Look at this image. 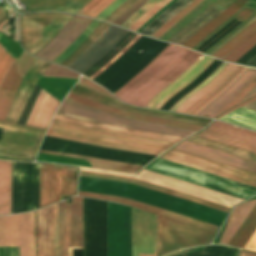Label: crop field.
Returning <instances> with one entry per match:
<instances>
[{
    "instance_id": "obj_34",
    "label": "crop field",
    "mask_w": 256,
    "mask_h": 256,
    "mask_svg": "<svg viewBox=\"0 0 256 256\" xmlns=\"http://www.w3.org/2000/svg\"><path fill=\"white\" fill-rule=\"evenodd\" d=\"M256 44V33L246 39L232 52L226 55L222 60L235 63L246 51L252 48Z\"/></svg>"
},
{
    "instance_id": "obj_1",
    "label": "crop field",
    "mask_w": 256,
    "mask_h": 256,
    "mask_svg": "<svg viewBox=\"0 0 256 256\" xmlns=\"http://www.w3.org/2000/svg\"><path fill=\"white\" fill-rule=\"evenodd\" d=\"M80 175L132 184L227 212H229L232 205L243 200L146 170L137 176H132L81 168ZM78 195L132 205L157 214L158 254L160 255L189 246L208 244L218 229V226L125 198L82 191H79Z\"/></svg>"
},
{
    "instance_id": "obj_2",
    "label": "crop field",
    "mask_w": 256,
    "mask_h": 256,
    "mask_svg": "<svg viewBox=\"0 0 256 256\" xmlns=\"http://www.w3.org/2000/svg\"><path fill=\"white\" fill-rule=\"evenodd\" d=\"M49 62L40 59L25 75L11 105L0 136V157L34 161L36 152L46 130L17 124L25 105Z\"/></svg>"
},
{
    "instance_id": "obj_25",
    "label": "crop field",
    "mask_w": 256,
    "mask_h": 256,
    "mask_svg": "<svg viewBox=\"0 0 256 256\" xmlns=\"http://www.w3.org/2000/svg\"><path fill=\"white\" fill-rule=\"evenodd\" d=\"M21 78L18 77L15 69V65L11 68L2 89L5 90H13L16 91L20 82ZM15 92L12 91H0V120L4 121L6 117V113L11 105L12 98Z\"/></svg>"
},
{
    "instance_id": "obj_55",
    "label": "crop field",
    "mask_w": 256,
    "mask_h": 256,
    "mask_svg": "<svg viewBox=\"0 0 256 256\" xmlns=\"http://www.w3.org/2000/svg\"><path fill=\"white\" fill-rule=\"evenodd\" d=\"M0 37H1V34H0Z\"/></svg>"
},
{
    "instance_id": "obj_29",
    "label": "crop field",
    "mask_w": 256,
    "mask_h": 256,
    "mask_svg": "<svg viewBox=\"0 0 256 256\" xmlns=\"http://www.w3.org/2000/svg\"><path fill=\"white\" fill-rule=\"evenodd\" d=\"M39 152H41V151H39ZM42 153H47V152H42ZM48 154H53V153H48ZM54 155H61V156L85 159L91 163L92 167L102 168V169H111V170H119V171H125V172H130V173H136L138 170H140L142 168L140 166H134V165L112 162V161L97 160V159H90V158H83V157L62 155V154H54Z\"/></svg>"
},
{
    "instance_id": "obj_46",
    "label": "crop field",
    "mask_w": 256,
    "mask_h": 256,
    "mask_svg": "<svg viewBox=\"0 0 256 256\" xmlns=\"http://www.w3.org/2000/svg\"><path fill=\"white\" fill-rule=\"evenodd\" d=\"M256 19V16L253 17L251 20H249L240 30H238L234 35H232L229 39H227L225 42H223L221 45H219L214 51H212L209 56H211L213 53H215L219 48H221L224 44H226L230 39H232L234 36H236L238 33H240L247 25H249L251 22H253Z\"/></svg>"
},
{
    "instance_id": "obj_9",
    "label": "crop field",
    "mask_w": 256,
    "mask_h": 256,
    "mask_svg": "<svg viewBox=\"0 0 256 256\" xmlns=\"http://www.w3.org/2000/svg\"><path fill=\"white\" fill-rule=\"evenodd\" d=\"M76 167L41 164L40 208L75 195Z\"/></svg>"
},
{
    "instance_id": "obj_26",
    "label": "crop field",
    "mask_w": 256,
    "mask_h": 256,
    "mask_svg": "<svg viewBox=\"0 0 256 256\" xmlns=\"http://www.w3.org/2000/svg\"><path fill=\"white\" fill-rule=\"evenodd\" d=\"M11 162L0 161V215L10 214Z\"/></svg>"
},
{
    "instance_id": "obj_12",
    "label": "crop field",
    "mask_w": 256,
    "mask_h": 256,
    "mask_svg": "<svg viewBox=\"0 0 256 256\" xmlns=\"http://www.w3.org/2000/svg\"><path fill=\"white\" fill-rule=\"evenodd\" d=\"M197 135L256 153V132L227 123L216 121Z\"/></svg>"
},
{
    "instance_id": "obj_38",
    "label": "crop field",
    "mask_w": 256,
    "mask_h": 256,
    "mask_svg": "<svg viewBox=\"0 0 256 256\" xmlns=\"http://www.w3.org/2000/svg\"><path fill=\"white\" fill-rule=\"evenodd\" d=\"M160 0H149L143 7H141L136 13H134L130 18H128L121 26L128 28L133 24L139 17H141L145 12L156 5Z\"/></svg>"
},
{
    "instance_id": "obj_57",
    "label": "crop field",
    "mask_w": 256,
    "mask_h": 256,
    "mask_svg": "<svg viewBox=\"0 0 256 256\" xmlns=\"http://www.w3.org/2000/svg\"><path fill=\"white\" fill-rule=\"evenodd\" d=\"M64 154V153H63Z\"/></svg>"
},
{
    "instance_id": "obj_14",
    "label": "crop field",
    "mask_w": 256,
    "mask_h": 256,
    "mask_svg": "<svg viewBox=\"0 0 256 256\" xmlns=\"http://www.w3.org/2000/svg\"><path fill=\"white\" fill-rule=\"evenodd\" d=\"M92 21L75 15L64 29L35 56L52 61L62 53Z\"/></svg>"
},
{
    "instance_id": "obj_33",
    "label": "crop field",
    "mask_w": 256,
    "mask_h": 256,
    "mask_svg": "<svg viewBox=\"0 0 256 256\" xmlns=\"http://www.w3.org/2000/svg\"><path fill=\"white\" fill-rule=\"evenodd\" d=\"M100 22L93 20L88 27L79 35V37L72 43L60 56L53 62L59 64L66 56H68L81 42H83L92 31L98 26Z\"/></svg>"
},
{
    "instance_id": "obj_17",
    "label": "crop field",
    "mask_w": 256,
    "mask_h": 256,
    "mask_svg": "<svg viewBox=\"0 0 256 256\" xmlns=\"http://www.w3.org/2000/svg\"><path fill=\"white\" fill-rule=\"evenodd\" d=\"M175 149L256 173V163L254 162L202 147L193 143L184 141L176 146Z\"/></svg>"
},
{
    "instance_id": "obj_49",
    "label": "crop field",
    "mask_w": 256,
    "mask_h": 256,
    "mask_svg": "<svg viewBox=\"0 0 256 256\" xmlns=\"http://www.w3.org/2000/svg\"><path fill=\"white\" fill-rule=\"evenodd\" d=\"M254 99H256V97H254V98H252V99H250V100H248V101H246V102H244V103H242V104L236 106L235 108H233V109H231V110H229V111H227V112L222 113V114L219 115L216 119H218V118L224 116L225 114H227V113H229V112H231V111H233V110H235V109L241 107L242 105H244V104H246V103H248V102H250V101H252V100H254Z\"/></svg>"
},
{
    "instance_id": "obj_6",
    "label": "crop field",
    "mask_w": 256,
    "mask_h": 256,
    "mask_svg": "<svg viewBox=\"0 0 256 256\" xmlns=\"http://www.w3.org/2000/svg\"><path fill=\"white\" fill-rule=\"evenodd\" d=\"M0 246H35L34 212L0 217ZM0 256H19V247H0ZM20 256H35V247H20Z\"/></svg>"
},
{
    "instance_id": "obj_36",
    "label": "crop field",
    "mask_w": 256,
    "mask_h": 256,
    "mask_svg": "<svg viewBox=\"0 0 256 256\" xmlns=\"http://www.w3.org/2000/svg\"><path fill=\"white\" fill-rule=\"evenodd\" d=\"M14 57L4 48L0 45V81L4 75V73L7 71V69L10 67V65L12 64V62L14 61ZM16 60V59H15ZM15 62V61H14ZM13 62V64H14ZM12 64V65H13ZM11 65V67H12ZM10 67V68H11ZM10 68L8 69V71L5 73L1 83H0V88L3 84V81L6 77V75L8 74Z\"/></svg>"
},
{
    "instance_id": "obj_16",
    "label": "crop field",
    "mask_w": 256,
    "mask_h": 256,
    "mask_svg": "<svg viewBox=\"0 0 256 256\" xmlns=\"http://www.w3.org/2000/svg\"><path fill=\"white\" fill-rule=\"evenodd\" d=\"M256 78V70L248 68L227 90L197 115L213 118Z\"/></svg>"
},
{
    "instance_id": "obj_22",
    "label": "crop field",
    "mask_w": 256,
    "mask_h": 256,
    "mask_svg": "<svg viewBox=\"0 0 256 256\" xmlns=\"http://www.w3.org/2000/svg\"><path fill=\"white\" fill-rule=\"evenodd\" d=\"M31 12L59 10L77 13L90 0H20Z\"/></svg>"
},
{
    "instance_id": "obj_37",
    "label": "crop field",
    "mask_w": 256,
    "mask_h": 256,
    "mask_svg": "<svg viewBox=\"0 0 256 256\" xmlns=\"http://www.w3.org/2000/svg\"><path fill=\"white\" fill-rule=\"evenodd\" d=\"M171 0H162L155 7L145 13L140 19H138L129 29L134 31L138 30L144 23H146L158 10H160L163 6H165Z\"/></svg>"
},
{
    "instance_id": "obj_18",
    "label": "crop field",
    "mask_w": 256,
    "mask_h": 256,
    "mask_svg": "<svg viewBox=\"0 0 256 256\" xmlns=\"http://www.w3.org/2000/svg\"><path fill=\"white\" fill-rule=\"evenodd\" d=\"M213 60V58H209L206 56L193 70L188 69L176 81H174L163 91L157 94L146 107L151 109H159L175 93H177L187 84L192 82L196 77H198Z\"/></svg>"
},
{
    "instance_id": "obj_48",
    "label": "crop field",
    "mask_w": 256,
    "mask_h": 256,
    "mask_svg": "<svg viewBox=\"0 0 256 256\" xmlns=\"http://www.w3.org/2000/svg\"><path fill=\"white\" fill-rule=\"evenodd\" d=\"M253 12V10H251V9H249V8H246L242 13H240L238 16H237V18H239V19H241V20H245L251 13ZM218 37V36H217ZM214 40V39H213ZM212 40V41H213ZM210 43V42H209ZM208 43V44H209ZM207 44V45H208ZM204 48V47H203ZM202 48V49H203Z\"/></svg>"
},
{
    "instance_id": "obj_42",
    "label": "crop field",
    "mask_w": 256,
    "mask_h": 256,
    "mask_svg": "<svg viewBox=\"0 0 256 256\" xmlns=\"http://www.w3.org/2000/svg\"><path fill=\"white\" fill-rule=\"evenodd\" d=\"M140 35H136L125 47H123L110 61H108L102 68H100L94 75H92L89 79L95 78L99 73H101L107 66H109L116 58H118L126 49H128L138 38Z\"/></svg>"
},
{
    "instance_id": "obj_43",
    "label": "crop field",
    "mask_w": 256,
    "mask_h": 256,
    "mask_svg": "<svg viewBox=\"0 0 256 256\" xmlns=\"http://www.w3.org/2000/svg\"><path fill=\"white\" fill-rule=\"evenodd\" d=\"M137 0H127L125 1L117 10H115L109 17L105 19L112 23L121 13H123L128 7H130Z\"/></svg>"
},
{
    "instance_id": "obj_10",
    "label": "crop field",
    "mask_w": 256,
    "mask_h": 256,
    "mask_svg": "<svg viewBox=\"0 0 256 256\" xmlns=\"http://www.w3.org/2000/svg\"><path fill=\"white\" fill-rule=\"evenodd\" d=\"M246 69L247 67L229 64L204 88L186 100L175 112L196 115L229 87Z\"/></svg>"
},
{
    "instance_id": "obj_30",
    "label": "crop field",
    "mask_w": 256,
    "mask_h": 256,
    "mask_svg": "<svg viewBox=\"0 0 256 256\" xmlns=\"http://www.w3.org/2000/svg\"><path fill=\"white\" fill-rule=\"evenodd\" d=\"M109 26V24L101 22L99 26L93 31V33L81 43L67 58H65L60 65L67 67L74 60H76L80 54L94 41L96 40L104 30Z\"/></svg>"
},
{
    "instance_id": "obj_3",
    "label": "crop field",
    "mask_w": 256,
    "mask_h": 256,
    "mask_svg": "<svg viewBox=\"0 0 256 256\" xmlns=\"http://www.w3.org/2000/svg\"><path fill=\"white\" fill-rule=\"evenodd\" d=\"M200 56L197 52L170 44L151 65L114 95L131 105L145 107ZM140 102L144 105L139 106Z\"/></svg>"
},
{
    "instance_id": "obj_20",
    "label": "crop field",
    "mask_w": 256,
    "mask_h": 256,
    "mask_svg": "<svg viewBox=\"0 0 256 256\" xmlns=\"http://www.w3.org/2000/svg\"><path fill=\"white\" fill-rule=\"evenodd\" d=\"M60 101L42 89L25 125L46 129Z\"/></svg>"
},
{
    "instance_id": "obj_44",
    "label": "crop field",
    "mask_w": 256,
    "mask_h": 256,
    "mask_svg": "<svg viewBox=\"0 0 256 256\" xmlns=\"http://www.w3.org/2000/svg\"><path fill=\"white\" fill-rule=\"evenodd\" d=\"M125 0H116L109 7H107L97 18L104 20L109 16L115 9H117Z\"/></svg>"
},
{
    "instance_id": "obj_39",
    "label": "crop field",
    "mask_w": 256,
    "mask_h": 256,
    "mask_svg": "<svg viewBox=\"0 0 256 256\" xmlns=\"http://www.w3.org/2000/svg\"><path fill=\"white\" fill-rule=\"evenodd\" d=\"M147 1L148 0H139V1H137L125 13H123L117 20H115L113 23L120 25L128 17H130L134 12H136L141 6H143Z\"/></svg>"
},
{
    "instance_id": "obj_11",
    "label": "crop field",
    "mask_w": 256,
    "mask_h": 256,
    "mask_svg": "<svg viewBox=\"0 0 256 256\" xmlns=\"http://www.w3.org/2000/svg\"><path fill=\"white\" fill-rule=\"evenodd\" d=\"M160 158L177 162L186 166H190L256 187V174L254 173L240 170L182 151L172 149Z\"/></svg>"
},
{
    "instance_id": "obj_52",
    "label": "crop field",
    "mask_w": 256,
    "mask_h": 256,
    "mask_svg": "<svg viewBox=\"0 0 256 256\" xmlns=\"http://www.w3.org/2000/svg\"><path fill=\"white\" fill-rule=\"evenodd\" d=\"M240 256H256V253L247 252V251L242 250Z\"/></svg>"
},
{
    "instance_id": "obj_21",
    "label": "crop field",
    "mask_w": 256,
    "mask_h": 256,
    "mask_svg": "<svg viewBox=\"0 0 256 256\" xmlns=\"http://www.w3.org/2000/svg\"><path fill=\"white\" fill-rule=\"evenodd\" d=\"M225 8L213 3L206 10H204L195 19L184 26L176 35H174L169 41L182 45L191 36L213 20L216 16L222 13Z\"/></svg>"
},
{
    "instance_id": "obj_23",
    "label": "crop field",
    "mask_w": 256,
    "mask_h": 256,
    "mask_svg": "<svg viewBox=\"0 0 256 256\" xmlns=\"http://www.w3.org/2000/svg\"><path fill=\"white\" fill-rule=\"evenodd\" d=\"M248 0H236L231 6H229L222 14L211 21L207 26L200 30L197 34L191 37L183 45L192 49L202 39L208 36L215 28L225 22L230 16H232L238 9H240Z\"/></svg>"
},
{
    "instance_id": "obj_4",
    "label": "crop field",
    "mask_w": 256,
    "mask_h": 256,
    "mask_svg": "<svg viewBox=\"0 0 256 256\" xmlns=\"http://www.w3.org/2000/svg\"><path fill=\"white\" fill-rule=\"evenodd\" d=\"M56 114L65 116V117L82 120V121L133 128V129H137V130H141V131L166 134V135L182 137V138H185V137L191 135L192 133H194V131H190V130H186V129L154 125V124L144 123V122L116 116L113 114L98 111L91 107H87V106H83V105H79V104L70 102L66 99L64 100V102L62 103V105L60 106V108L58 109ZM57 115L54 116V118H53L54 121H58V122H62V123L70 124V125L106 130V131H111V132H115V133H119V134H125V135L137 136V137L171 141V142H175V143L182 140V138H176V137L154 134V133L141 132V131L127 129V128H121V127H114V126H108V125H102V124L82 122V121L69 119V118H65V117H61V116H57Z\"/></svg>"
},
{
    "instance_id": "obj_24",
    "label": "crop field",
    "mask_w": 256,
    "mask_h": 256,
    "mask_svg": "<svg viewBox=\"0 0 256 256\" xmlns=\"http://www.w3.org/2000/svg\"><path fill=\"white\" fill-rule=\"evenodd\" d=\"M255 205L256 200L243 202L235 206L219 244L227 245Z\"/></svg>"
},
{
    "instance_id": "obj_50",
    "label": "crop field",
    "mask_w": 256,
    "mask_h": 256,
    "mask_svg": "<svg viewBox=\"0 0 256 256\" xmlns=\"http://www.w3.org/2000/svg\"><path fill=\"white\" fill-rule=\"evenodd\" d=\"M255 95H256V87L254 89H252L239 103H241V102H243V101H245V100H247V99H249V98H251Z\"/></svg>"
},
{
    "instance_id": "obj_47",
    "label": "crop field",
    "mask_w": 256,
    "mask_h": 256,
    "mask_svg": "<svg viewBox=\"0 0 256 256\" xmlns=\"http://www.w3.org/2000/svg\"><path fill=\"white\" fill-rule=\"evenodd\" d=\"M244 248L256 250V232L253 234V236L250 238Z\"/></svg>"
},
{
    "instance_id": "obj_32",
    "label": "crop field",
    "mask_w": 256,
    "mask_h": 256,
    "mask_svg": "<svg viewBox=\"0 0 256 256\" xmlns=\"http://www.w3.org/2000/svg\"><path fill=\"white\" fill-rule=\"evenodd\" d=\"M202 1L203 0L191 1L187 7H185L179 13H177L174 17H172L167 23H165L161 28H159L152 36L159 38L161 35H163L167 30H169L172 26H174L179 20H181L184 16H186L191 10H193Z\"/></svg>"
},
{
    "instance_id": "obj_31",
    "label": "crop field",
    "mask_w": 256,
    "mask_h": 256,
    "mask_svg": "<svg viewBox=\"0 0 256 256\" xmlns=\"http://www.w3.org/2000/svg\"><path fill=\"white\" fill-rule=\"evenodd\" d=\"M256 32V20L246 27L240 34L230 40L226 45H224L220 50H218L213 56L222 58L228 54L233 48L243 42L246 38Z\"/></svg>"
},
{
    "instance_id": "obj_54",
    "label": "crop field",
    "mask_w": 256,
    "mask_h": 256,
    "mask_svg": "<svg viewBox=\"0 0 256 256\" xmlns=\"http://www.w3.org/2000/svg\"><path fill=\"white\" fill-rule=\"evenodd\" d=\"M186 95H187V94H186ZM186 95H185V96H186ZM182 98H183V97H182ZM182 98H181V99H182ZM181 99H180V100H181Z\"/></svg>"
},
{
    "instance_id": "obj_56",
    "label": "crop field",
    "mask_w": 256,
    "mask_h": 256,
    "mask_svg": "<svg viewBox=\"0 0 256 256\" xmlns=\"http://www.w3.org/2000/svg\"><path fill=\"white\" fill-rule=\"evenodd\" d=\"M0 13H1V11H0Z\"/></svg>"
},
{
    "instance_id": "obj_13",
    "label": "crop field",
    "mask_w": 256,
    "mask_h": 256,
    "mask_svg": "<svg viewBox=\"0 0 256 256\" xmlns=\"http://www.w3.org/2000/svg\"><path fill=\"white\" fill-rule=\"evenodd\" d=\"M37 256H58V204L37 211Z\"/></svg>"
},
{
    "instance_id": "obj_40",
    "label": "crop field",
    "mask_w": 256,
    "mask_h": 256,
    "mask_svg": "<svg viewBox=\"0 0 256 256\" xmlns=\"http://www.w3.org/2000/svg\"><path fill=\"white\" fill-rule=\"evenodd\" d=\"M228 64L227 63H224L210 78H208L205 82H203L201 85H199L195 90H193L191 93H189L186 97H184L180 102H178L170 111L171 112H174L177 107L182 103L184 102L187 98H189L191 95H193L194 93H196L198 90H200L203 86H205L214 76H216L223 68H225Z\"/></svg>"
},
{
    "instance_id": "obj_27",
    "label": "crop field",
    "mask_w": 256,
    "mask_h": 256,
    "mask_svg": "<svg viewBox=\"0 0 256 256\" xmlns=\"http://www.w3.org/2000/svg\"><path fill=\"white\" fill-rule=\"evenodd\" d=\"M243 107L256 110V101L249 103ZM243 107L237 109L234 112H231L230 114L220 119L256 130V111L249 110Z\"/></svg>"
},
{
    "instance_id": "obj_15",
    "label": "crop field",
    "mask_w": 256,
    "mask_h": 256,
    "mask_svg": "<svg viewBox=\"0 0 256 256\" xmlns=\"http://www.w3.org/2000/svg\"><path fill=\"white\" fill-rule=\"evenodd\" d=\"M70 92L80 95L82 97L100 102V103L112 105L120 109L131 111V112L148 114L156 117L173 119V120H178L183 122H189V123H194L202 126H205L207 123L211 121V119H206V118H198V117H191V116H184V115H178V114H172V113H166V112H160V111L135 108L133 106H129L124 103L111 100L105 96H102L78 84H76Z\"/></svg>"
},
{
    "instance_id": "obj_35",
    "label": "crop field",
    "mask_w": 256,
    "mask_h": 256,
    "mask_svg": "<svg viewBox=\"0 0 256 256\" xmlns=\"http://www.w3.org/2000/svg\"><path fill=\"white\" fill-rule=\"evenodd\" d=\"M113 1L114 0H92L78 13L96 18L98 14Z\"/></svg>"
},
{
    "instance_id": "obj_53",
    "label": "crop field",
    "mask_w": 256,
    "mask_h": 256,
    "mask_svg": "<svg viewBox=\"0 0 256 256\" xmlns=\"http://www.w3.org/2000/svg\"><path fill=\"white\" fill-rule=\"evenodd\" d=\"M6 23H7V20L4 21V22L0 25V30H1V28H2Z\"/></svg>"
},
{
    "instance_id": "obj_8",
    "label": "crop field",
    "mask_w": 256,
    "mask_h": 256,
    "mask_svg": "<svg viewBox=\"0 0 256 256\" xmlns=\"http://www.w3.org/2000/svg\"><path fill=\"white\" fill-rule=\"evenodd\" d=\"M59 247L60 256L83 249L82 198L73 197L72 204L59 202Z\"/></svg>"
},
{
    "instance_id": "obj_51",
    "label": "crop field",
    "mask_w": 256,
    "mask_h": 256,
    "mask_svg": "<svg viewBox=\"0 0 256 256\" xmlns=\"http://www.w3.org/2000/svg\"><path fill=\"white\" fill-rule=\"evenodd\" d=\"M80 82H82V83H84V84H86V85H89V86H91V87H93V88H95V89H97V90H100V91H102V92H104V93H106V94H109V93L105 92L104 90H102L101 88H99V87H97V86H95V85H93V84H91V83H89V82H87V81H85V80H83V79H81ZM109 95H110V94H109ZM111 96H112V95H111ZM113 97H114V96H113Z\"/></svg>"
},
{
    "instance_id": "obj_5",
    "label": "crop field",
    "mask_w": 256,
    "mask_h": 256,
    "mask_svg": "<svg viewBox=\"0 0 256 256\" xmlns=\"http://www.w3.org/2000/svg\"><path fill=\"white\" fill-rule=\"evenodd\" d=\"M46 135L80 141L89 144L120 148L156 155L163 153L164 151L175 145L174 143L80 128L53 121Z\"/></svg>"
},
{
    "instance_id": "obj_41",
    "label": "crop field",
    "mask_w": 256,
    "mask_h": 256,
    "mask_svg": "<svg viewBox=\"0 0 256 256\" xmlns=\"http://www.w3.org/2000/svg\"><path fill=\"white\" fill-rule=\"evenodd\" d=\"M224 248L221 246H207L202 253L191 256H222Z\"/></svg>"
},
{
    "instance_id": "obj_45",
    "label": "crop field",
    "mask_w": 256,
    "mask_h": 256,
    "mask_svg": "<svg viewBox=\"0 0 256 256\" xmlns=\"http://www.w3.org/2000/svg\"><path fill=\"white\" fill-rule=\"evenodd\" d=\"M256 85V79L247 87L245 88L226 108H224L220 113L224 112L225 110L229 109L230 107L234 106L242 97H244L254 86ZM219 113V114H220ZM218 114V115H219ZM217 116V115H216ZM215 116V117H216Z\"/></svg>"
},
{
    "instance_id": "obj_19",
    "label": "crop field",
    "mask_w": 256,
    "mask_h": 256,
    "mask_svg": "<svg viewBox=\"0 0 256 256\" xmlns=\"http://www.w3.org/2000/svg\"><path fill=\"white\" fill-rule=\"evenodd\" d=\"M68 100L75 101V102H78V103H81L84 105H88V106L94 107L98 110L106 111V112L117 114L120 116L134 118V119L145 121V122H153V123L162 124V125H166V126L187 128V129H191V130H195V131L203 128L202 126H198V125H194V124H188V123H183V122H178V121L155 118V117L142 115V114L126 112V111L119 110V109H116V108H113L110 106H106V105H103V104H100L97 102L90 101L88 99L82 98L80 96H77V95H74L71 93L68 97Z\"/></svg>"
},
{
    "instance_id": "obj_7",
    "label": "crop field",
    "mask_w": 256,
    "mask_h": 256,
    "mask_svg": "<svg viewBox=\"0 0 256 256\" xmlns=\"http://www.w3.org/2000/svg\"><path fill=\"white\" fill-rule=\"evenodd\" d=\"M73 16L58 13L21 15L23 47L34 55L52 40Z\"/></svg>"
},
{
    "instance_id": "obj_28",
    "label": "crop field",
    "mask_w": 256,
    "mask_h": 256,
    "mask_svg": "<svg viewBox=\"0 0 256 256\" xmlns=\"http://www.w3.org/2000/svg\"><path fill=\"white\" fill-rule=\"evenodd\" d=\"M256 230V206L252 210V212L249 214L247 219L244 221V223L241 225L239 230L236 232L234 237L231 239V241L228 243L229 246H235L243 248V246L246 244V242L249 240L251 235Z\"/></svg>"
}]
</instances>
